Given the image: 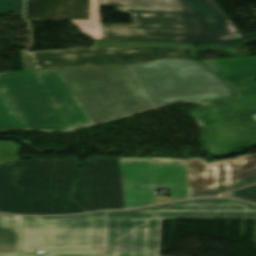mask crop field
I'll list each match as a JSON object with an SVG mask.
<instances>
[{"label":"crop field","instance_id":"5142ce71","mask_svg":"<svg viewBox=\"0 0 256 256\" xmlns=\"http://www.w3.org/2000/svg\"><path fill=\"white\" fill-rule=\"evenodd\" d=\"M254 117V119L256 120V115H252Z\"/></svg>","mask_w":256,"mask_h":256},{"label":"crop field","instance_id":"28ad6ade","mask_svg":"<svg viewBox=\"0 0 256 256\" xmlns=\"http://www.w3.org/2000/svg\"><path fill=\"white\" fill-rule=\"evenodd\" d=\"M223 195L256 203V184Z\"/></svg>","mask_w":256,"mask_h":256},{"label":"crop field","instance_id":"f4fd0767","mask_svg":"<svg viewBox=\"0 0 256 256\" xmlns=\"http://www.w3.org/2000/svg\"><path fill=\"white\" fill-rule=\"evenodd\" d=\"M221 75L237 96L205 102L192 116L204 124L208 150L226 153L256 143V56L203 61Z\"/></svg>","mask_w":256,"mask_h":256},{"label":"crop field","instance_id":"e52e79f7","mask_svg":"<svg viewBox=\"0 0 256 256\" xmlns=\"http://www.w3.org/2000/svg\"><path fill=\"white\" fill-rule=\"evenodd\" d=\"M126 208L155 204L153 188H170L172 201L189 198L184 159L119 158Z\"/></svg>","mask_w":256,"mask_h":256},{"label":"crop field","instance_id":"412701ff","mask_svg":"<svg viewBox=\"0 0 256 256\" xmlns=\"http://www.w3.org/2000/svg\"><path fill=\"white\" fill-rule=\"evenodd\" d=\"M78 159L18 160L0 165V211L18 214L85 212L71 200Z\"/></svg>","mask_w":256,"mask_h":256},{"label":"crop field","instance_id":"8a807250","mask_svg":"<svg viewBox=\"0 0 256 256\" xmlns=\"http://www.w3.org/2000/svg\"><path fill=\"white\" fill-rule=\"evenodd\" d=\"M232 93L198 61L0 74V129L65 131L175 101Z\"/></svg>","mask_w":256,"mask_h":256},{"label":"crop field","instance_id":"cbeb9de0","mask_svg":"<svg viewBox=\"0 0 256 256\" xmlns=\"http://www.w3.org/2000/svg\"><path fill=\"white\" fill-rule=\"evenodd\" d=\"M8 160H12V159H0V163L8 161Z\"/></svg>","mask_w":256,"mask_h":256},{"label":"crop field","instance_id":"d8731c3e","mask_svg":"<svg viewBox=\"0 0 256 256\" xmlns=\"http://www.w3.org/2000/svg\"><path fill=\"white\" fill-rule=\"evenodd\" d=\"M191 197L215 196L256 182V154L207 164L202 158L185 159Z\"/></svg>","mask_w":256,"mask_h":256},{"label":"crop field","instance_id":"3316defc","mask_svg":"<svg viewBox=\"0 0 256 256\" xmlns=\"http://www.w3.org/2000/svg\"><path fill=\"white\" fill-rule=\"evenodd\" d=\"M25 3L28 19H69L85 35L102 40L98 0H25Z\"/></svg>","mask_w":256,"mask_h":256},{"label":"crop field","instance_id":"dd49c442","mask_svg":"<svg viewBox=\"0 0 256 256\" xmlns=\"http://www.w3.org/2000/svg\"><path fill=\"white\" fill-rule=\"evenodd\" d=\"M191 45L100 41L92 50L30 53L23 56L26 71L51 68L145 63L156 59L192 58ZM30 63V67L26 64Z\"/></svg>","mask_w":256,"mask_h":256},{"label":"crop field","instance_id":"34b2d1b8","mask_svg":"<svg viewBox=\"0 0 256 256\" xmlns=\"http://www.w3.org/2000/svg\"><path fill=\"white\" fill-rule=\"evenodd\" d=\"M131 15V24H102L103 40L226 45L256 38L242 35L214 0H99Z\"/></svg>","mask_w":256,"mask_h":256},{"label":"crop field","instance_id":"5a996713","mask_svg":"<svg viewBox=\"0 0 256 256\" xmlns=\"http://www.w3.org/2000/svg\"><path fill=\"white\" fill-rule=\"evenodd\" d=\"M73 200L87 211L125 208L118 158L86 159Z\"/></svg>","mask_w":256,"mask_h":256},{"label":"crop field","instance_id":"d1516ede","mask_svg":"<svg viewBox=\"0 0 256 256\" xmlns=\"http://www.w3.org/2000/svg\"><path fill=\"white\" fill-rule=\"evenodd\" d=\"M20 146L13 142L0 141V158H16Z\"/></svg>","mask_w":256,"mask_h":256},{"label":"crop field","instance_id":"22f410ed","mask_svg":"<svg viewBox=\"0 0 256 256\" xmlns=\"http://www.w3.org/2000/svg\"><path fill=\"white\" fill-rule=\"evenodd\" d=\"M0 11H23V0H0Z\"/></svg>","mask_w":256,"mask_h":256},{"label":"crop field","instance_id":"ac0d7876","mask_svg":"<svg viewBox=\"0 0 256 256\" xmlns=\"http://www.w3.org/2000/svg\"><path fill=\"white\" fill-rule=\"evenodd\" d=\"M160 218H256V205L195 199L128 211L27 217L0 214V256H159Z\"/></svg>","mask_w":256,"mask_h":256}]
</instances>
